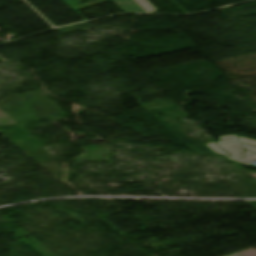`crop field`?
Returning <instances> with one entry per match:
<instances>
[{
  "label": "crop field",
  "mask_w": 256,
  "mask_h": 256,
  "mask_svg": "<svg viewBox=\"0 0 256 256\" xmlns=\"http://www.w3.org/2000/svg\"><path fill=\"white\" fill-rule=\"evenodd\" d=\"M206 145L215 153L224 155L225 157L244 165H250L252 162L256 161V140L237 137L236 135H227L220 137V142ZM221 148L225 151L223 152ZM243 148L245 150H243Z\"/></svg>",
  "instance_id": "1"
},
{
  "label": "crop field",
  "mask_w": 256,
  "mask_h": 256,
  "mask_svg": "<svg viewBox=\"0 0 256 256\" xmlns=\"http://www.w3.org/2000/svg\"><path fill=\"white\" fill-rule=\"evenodd\" d=\"M124 12H146L134 0H112Z\"/></svg>",
  "instance_id": "2"
},
{
  "label": "crop field",
  "mask_w": 256,
  "mask_h": 256,
  "mask_svg": "<svg viewBox=\"0 0 256 256\" xmlns=\"http://www.w3.org/2000/svg\"><path fill=\"white\" fill-rule=\"evenodd\" d=\"M135 1L149 13L158 11L148 0Z\"/></svg>",
  "instance_id": "3"
}]
</instances>
